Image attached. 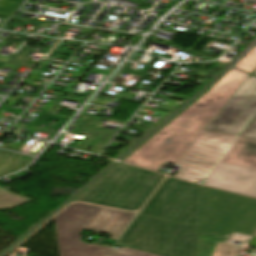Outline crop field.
Returning <instances> with one entry per match:
<instances>
[{"label":"crop field","instance_id":"obj_1","mask_svg":"<svg viewBox=\"0 0 256 256\" xmlns=\"http://www.w3.org/2000/svg\"><path fill=\"white\" fill-rule=\"evenodd\" d=\"M202 187L167 178L116 246L156 256H194Z\"/></svg>","mask_w":256,"mask_h":256},{"label":"crop field","instance_id":"obj_2","mask_svg":"<svg viewBox=\"0 0 256 256\" xmlns=\"http://www.w3.org/2000/svg\"><path fill=\"white\" fill-rule=\"evenodd\" d=\"M246 77L247 74L232 68L124 162L155 171L165 162L177 164Z\"/></svg>","mask_w":256,"mask_h":256},{"label":"crop field","instance_id":"obj_3","mask_svg":"<svg viewBox=\"0 0 256 256\" xmlns=\"http://www.w3.org/2000/svg\"><path fill=\"white\" fill-rule=\"evenodd\" d=\"M256 230V200L203 187L195 256H228L232 232Z\"/></svg>","mask_w":256,"mask_h":256},{"label":"crop field","instance_id":"obj_4","mask_svg":"<svg viewBox=\"0 0 256 256\" xmlns=\"http://www.w3.org/2000/svg\"><path fill=\"white\" fill-rule=\"evenodd\" d=\"M162 178V175L120 163L76 200L136 210Z\"/></svg>","mask_w":256,"mask_h":256},{"label":"crop field","instance_id":"obj_5","mask_svg":"<svg viewBox=\"0 0 256 256\" xmlns=\"http://www.w3.org/2000/svg\"><path fill=\"white\" fill-rule=\"evenodd\" d=\"M93 208V205L74 203L55 217L60 256H152L124 248L118 250L81 242L79 233Z\"/></svg>","mask_w":256,"mask_h":256},{"label":"crop field","instance_id":"obj_6","mask_svg":"<svg viewBox=\"0 0 256 256\" xmlns=\"http://www.w3.org/2000/svg\"><path fill=\"white\" fill-rule=\"evenodd\" d=\"M238 137L205 131L180 160L181 169L174 176L187 180L207 179Z\"/></svg>","mask_w":256,"mask_h":256},{"label":"crop field","instance_id":"obj_7","mask_svg":"<svg viewBox=\"0 0 256 256\" xmlns=\"http://www.w3.org/2000/svg\"><path fill=\"white\" fill-rule=\"evenodd\" d=\"M256 116V78L241 84L205 130L241 135Z\"/></svg>","mask_w":256,"mask_h":256},{"label":"crop field","instance_id":"obj_8","mask_svg":"<svg viewBox=\"0 0 256 256\" xmlns=\"http://www.w3.org/2000/svg\"><path fill=\"white\" fill-rule=\"evenodd\" d=\"M204 185L256 197V169L220 163Z\"/></svg>","mask_w":256,"mask_h":256},{"label":"crop field","instance_id":"obj_9","mask_svg":"<svg viewBox=\"0 0 256 256\" xmlns=\"http://www.w3.org/2000/svg\"><path fill=\"white\" fill-rule=\"evenodd\" d=\"M134 216V213L95 206L84 229L108 233L110 239H118Z\"/></svg>","mask_w":256,"mask_h":256},{"label":"crop field","instance_id":"obj_10","mask_svg":"<svg viewBox=\"0 0 256 256\" xmlns=\"http://www.w3.org/2000/svg\"><path fill=\"white\" fill-rule=\"evenodd\" d=\"M88 115H85L81 121H78L77 124L73 127V130L71 133H76L75 131L82 125V123L88 118ZM95 117L91 116L88 121L81 127V129L77 132L78 134L83 133V135L87 136L89 133V137H86L81 144L77 147V149L84 150L90 146L92 148L87 151L90 153L98 154L102 148L110 141V139L115 135L116 132L114 131H108V130H103L100 128L94 127L98 122H96L100 117H97L95 121L88 127V129L83 132L86 127L93 121ZM105 135H108L107 138L103 143H101V140L104 139Z\"/></svg>","mask_w":256,"mask_h":256},{"label":"crop field","instance_id":"obj_11","mask_svg":"<svg viewBox=\"0 0 256 256\" xmlns=\"http://www.w3.org/2000/svg\"><path fill=\"white\" fill-rule=\"evenodd\" d=\"M222 162L256 168V141L239 137Z\"/></svg>","mask_w":256,"mask_h":256},{"label":"crop field","instance_id":"obj_12","mask_svg":"<svg viewBox=\"0 0 256 256\" xmlns=\"http://www.w3.org/2000/svg\"><path fill=\"white\" fill-rule=\"evenodd\" d=\"M24 156L26 158L22 159ZM33 159L30 156L0 150V177L20 170Z\"/></svg>","mask_w":256,"mask_h":256},{"label":"crop field","instance_id":"obj_13","mask_svg":"<svg viewBox=\"0 0 256 256\" xmlns=\"http://www.w3.org/2000/svg\"><path fill=\"white\" fill-rule=\"evenodd\" d=\"M28 201L31 200L0 189V209L12 208Z\"/></svg>","mask_w":256,"mask_h":256},{"label":"crop field","instance_id":"obj_14","mask_svg":"<svg viewBox=\"0 0 256 256\" xmlns=\"http://www.w3.org/2000/svg\"><path fill=\"white\" fill-rule=\"evenodd\" d=\"M235 67L251 73L256 67V48H254L249 54L242 58Z\"/></svg>","mask_w":256,"mask_h":256},{"label":"crop field","instance_id":"obj_15","mask_svg":"<svg viewBox=\"0 0 256 256\" xmlns=\"http://www.w3.org/2000/svg\"><path fill=\"white\" fill-rule=\"evenodd\" d=\"M241 136L256 140V117Z\"/></svg>","mask_w":256,"mask_h":256},{"label":"crop field","instance_id":"obj_16","mask_svg":"<svg viewBox=\"0 0 256 256\" xmlns=\"http://www.w3.org/2000/svg\"><path fill=\"white\" fill-rule=\"evenodd\" d=\"M249 245L256 248V236H254Z\"/></svg>","mask_w":256,"mask_h":256},{"label":"crop field","instance_id":"obj_17","mask_svg":"<svg viewBox=\"0 0 256 256\" xmlns=\"http://www.w3.org/2000/svg\"><path fill=\"white\" fill-rule=\"evenodd\" d=\"M253 75H256V70L254 71Z\"/></svg>","mask_w":256,"mask_h":256}]
</instances>
